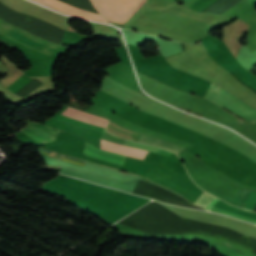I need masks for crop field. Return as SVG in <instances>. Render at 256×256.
Here are the masks:
<instances>
[{
  "label": "crop field",
  "instance_id": "crop-field-1",
  "mask_svg": "<svg viewBox=\"0 0 256 256\" xmlns=\"http://www.w3.org/2000/svg\"><path fill=\"white\" fill-rule=\"evenodd\" d=\"M205 98L228 110L239 118L256 124V109L250 107L227 90L212 84Z\"/></svg>",
  "mask_w": 256,
  "mask_h": 256
},
{
  "label": "crop field",
  "instance_id": "crop-field-2",
  "mask_svg": "<svg viewBox=\"0 0 256 256\" xmlns=\"http://www.w3.org/2000/svg\"><path fill=\"white\" fill-rule=\"evenodd\" d=\"M0 33L32 49L43 52L50 56H52L54 52L60 47V45L37 38L2 20H0Z\"/></svg>",
  "mask_w": 256,
  "mask_h": 256
},
{
  "label": "crop field",
  "instance_id": "crop-field-3",
  "mask_svg": "<svg viewBox=\"0 0 256 256\" xmlns=\"http://www.w3.org/2000/svg\"><path fill=\"white\" fill-rule=\"evenodd\" d=\"M124 144L129 145V146H133V147H138V148L150 150V151H153L155 153L162 154V155H165V156H168V155L171 154V152H169L165 149L158 148V147H153V146H148V145H144V144H140V143H136V142H132V141L125 140ZM125 145H121V144H117V143H113V142L101 139L100 148L105 149V150L110 151V152H115V153H119V154H124V155H129V156L144 159V157L147 153L146 150L133 148V147L125 146Z\"/></svg>",
  "mask_w": 256,
  "mask_h": 256
},
{
  "label": "crop field",
  "instance_id": "crop-field-4",
  "mask_svg": "<svg viewBox=\"0 0 256 256\" xmlns=\"http://www.w3.org/2000/svg\"><path fill=\"white\" fill-rule=\"evenodd\" d=\"M32 1L38 4L50 7L58 12L72 15L74 17L109 23L105 19H103L104 17L102 18L101 15L83 11L81 9L75 8L73 6L65 4L58 0H32Z\"/></svg>",
  "mask_w": 256,
  "mask_h": 256
},
{
  "label": "crop field",
  "instance_id": "crop-field-5",
  "mask_svg": "<svg viewBox=\"0 0 256 256\" xmlns=\"http://www.w3.org/2000/svg\"><path fill=\"white\" fill-rule=\"evenodd\" d=\"M217 200H218V198H216V197H214V196H212V195H210V194H208L207 192L204 191L194 203L198 204V205H200V206H202V207H204L208 210L211 207V205ZM216 203L221 204L225 207H228L229 209H233L237 212H241V213L256 216V213H252V212H248V211L236 208V207H234L232 205H229V204H227V203H225L221 200H218ZM209 210L212 211V212L226 214V215H229V216H232V217H235V218H238V219L245 220V221L256 224V221L253 220V219H250V218H246V217L239 216V215H236V214H233V213L222 211V210H219V209H216V208H213V207H211Z\"/></svg>",
  "mask_w": 256,
  "mask_h": 256
},
{
  "label": "crop field",
  "instance_id": "crop-field-6",
  "mask_svg": "<svg viewBox=\"0 0 256 256\" xmlns=\"http://www.w3.org/2000/svg\"><path fill=\"white\" fill-rule=\"evenodd\" d=\"M70 108V107H69ZM67 108L63 113L62 115H65V116H68V117H72V118H75V119H78V120H81V121H84V122H87V123H90V124H94V125H97V126H100V127H103L105 126L107 120L105 119H102V118H99V117H96V116H93V115H90L86 112H84L83 114L79 113V112H76L74 110H71ZM60 115L58 118L62 119V120H66V121H69V122H72V123H76V124H79V125H82V126H86V127H89V128H92V129H95V130H98V131H104L103 128H100V127H97V126H93V125H90V124H87V123H84V122H81V121H78V120H75V119H71V118H68V117H65V116H62ZM57 118V119H58Z\"/></svg>",
  "mask_w": 256,
  "mask_h": 256
},
{
  "label": "crop field",
  "instance_id": "crop-field-7",
  "mask_svg": "<svg viewBox=\"0 0 256 256\" xmlns=\"http://www.w3.org/2000/svg\"><path fill=\"white\" fill-rule=\"evenodd\" d=\"M20 131L32 137L40 143L54 141L58 130L39 123H32L23 127Z\"/></svg>",
  "mask_w": 256,
  "mask_h": 256
},
{
  "label": "crop field",
  "instance_id": "crop-field-8",
  "mask_svg": "<svg viewBox=\"0 0 256 256\" xmlns=\"http://www.w3.org/2000/svg\"><path fill=\"white\" fill-rule=\"evenodd\" d=\"M83 153L86 155H90L96 159L111 162V163L122 165V166L124 164L125 157H126L124 155H119L115 153L106 152L101 149H97L88 143L85 144Z\"/></svg>",
  "mask_w": 256,
  "mask_h": 256
},
{
  "label": "crop field",
  "instance_id": "crop-field-9",
  "mask_svg": "<svg viewBox=\"0 0 256 256\" xmlns=\"http://www.w3.org/2000/svg\"><path fill=\"white\" fill-rule=\"evenodd\" d=\"M249 194H250L249 191L240 190V192L237 194L236 198L232 202V205L241 208L242 204L244 203V201L246 200ZM245 203H246L245 206L243 205L244 209L253 211L256 206V193L251 192V194L249 195Z\"/></svg>",
  "mask_w": 256,
  "mask_h": 256
},
{
  "label": "crop field",
  "instance_id": "crop-field-10",
  "mask_svg": "<svg viewBox=\"0 0 256 256\" xmlns=\"http://www.w3.org/2000/svg\"><path fill=\"white\" fill-rule=\"evenodd\" d=\"M139 141L147 143V144H151V145L167 148L169 150L174 151L176 154L182 150V148H179V147H177L175 145H172V144H170V143H168L166 141H163V140H160V139H155V138H153L151 136H147V135H143V134L141 135Z\"/></svg>",
  "mask_w": 256,
  "mask_h": 256
}]
</instances>
